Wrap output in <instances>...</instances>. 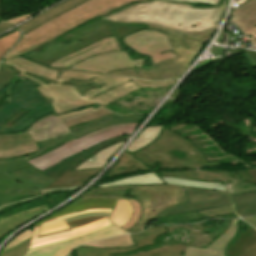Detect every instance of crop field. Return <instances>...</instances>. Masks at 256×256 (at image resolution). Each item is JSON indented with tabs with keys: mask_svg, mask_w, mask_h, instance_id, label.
<instances>
[{
	"mask_svg": "<svg viewBox=\"0 0 256 256\" xmlns=\"http://www.w3.org/2000/svg\"><path fill=\"white\" fill-rule=\"evenodd\" d=\"M101 169L78 170L66 173L64 176L54 181L46 188L80 186L93 178ZM44 188V189H46Z\"/></svg>",
	"mask_w": 256,
	"mask_h": 256,
	"instance_id": "crop-field-23",
	"label": "crop field"
},
{
	"mask_svg": "<svg viewBox=\"0 0 256 256\" xmlns=\"http://www.w3.org/2000/svg\"><path fill=\"white\" fill-rule=\"evenodd\" d=\"M111 210L112 209H91V210L80 211V212H77V213L68 214L66 216L58 217V218H55L53 220L47 221V222L43 223L41 226H44V225H47V224H50V223L62 220L64 218H66V217H70V216H74V215H78V214H82V213H87V212H111Z\"/></svg>",
	"mask_w": 256,
	"mask_h": 256,
	"instance_id": "crop-field-43",
	"label": "crop field"
},
{
	"mask_svg": "<svg viewBox=\"0 0 256 256\" xmlns=\"http://www.w3.org/2000/svg\"><path fill=\"white\" fill-rule=\"evenodd\" d=\"M68 228L69 227L67 226V224L64 222V220H62V221L41 227L38 235L52 233V232H56V231H60Z\"/></svg>",
	"mask_w": 256,
	"mask_h": 256,
	"instance_id": "crop-field-40",
	"label": "crop field"
},
{
	"mask_svg": "<svg viewBox=\"0 0 256 256\" xmlns=\"http://www.w3.org/2000/svg\"><path fill=\"white\" fill-rule=\"evenodd\" d=\"M103 109L102 107L97 108L93 111H97ZM93 111L65 117L58 119L55 114L47 115L41 119H39L36 123H34L27 131L31 135V137L34 139V141H41L50 139L56 136L64 135L66 133H69V129L65 126L62 120L84 115ZM65 121V120H64Z\"/></svg>",
	"mask_w": 256,
	"mask_h": 256,
	"instance_id": "crop-field-16",
	"label": "crop field"
},
{
	"mask_svg": "<svg viewBox=\"0 0 256 256\" xmlns=\"http://www.w3.org/2000/svg\"><path fill=\"white\" fill-rule=\"evenodd\" d=\"M92 109H93V107H90V108H87V109H84V110H81V111H75V112H71V113L58 115L57 117L60 118V117H64V116H68V115H72V114H76V113H80V112H84V111H88V110H92Z\"/></svg>",
	"mask_w": 256,
	"mask_h": 256,
	"instance_id": "crop-field-54",
	"label": "crop field"
},
{
	"mask_svg": "<svg viewBox=\"0 0 256 256\" xmlns=\"http://www.w3.org/2000/svg\"><path fill=\"white\" fill-rule=\"evenodd\" d=\"M125 51L115 36L100 40L86 48L78 50L62 59L53 62L49 67L51 68H70L77 62L91 57L96 54L111 52V51Z\"/></svg>",
	"mask_w": 256,
	"mask_h": 256,
	"instance_id": "crop-field-13",
	"label": "crop field"
},
{
	"mask_svg": "<svg viewBox=\"0 0 256 256\" xmlns=\"http://www.w3.org/2000/svg\"><path fill=\"white\" fill-rule=\"evenodd\" d=\"M38 151L27 131L0 135V159L22 156Z\"/></svg>",
	"mask_w": 256,
	"mask_h": 256,
	"instance_id": "crop-field-15",
	"label": "crop field"
},
{
	"mask_svg": "<svg viewBox=\"0 0 256 256\" xmlns=\"http://www.w3.org/2000/svg\"><path fill=\"white\" fill-rule=\"evenodd\" d=\"M14 25H11V24H4V23H0V33L5 31L6 29L12 27Z\"/></svg>",
	"mask_w": 256,
	"mask_h": 256,
	"instance_id": "crop-field-55",
	"label": "crop field"
},
{
	"mask_svg": "<svg viewBox=\"0 0 256 256\" xmlns=\"http://www.w3.org/2000/svg\"><path fill=\"white\" fill-rule=\"evenodd\" d=\"M86 198H134L138 200L142 204V217L132 229L127 231L129 233H136L144 230L149 219L155 217L168 207L188 202L184 188L175 185H143L95 188L81 194L77 199H75V201Z\"/></svg>",
	"mask_w": 256,
	"mask_h": 256,
	"instance_id": "crop-field-6",
	"label": "crop field"
},
{
	"mask_svg": "<svg viewBox=\"0 0 256 256\" xmlns=\"http://www.w3.org/2000/svg\"><path fill=\"white\" fill-rule=\"evenodd\" d=\"M124 232L112 224L104 229L68 241L28 249L23 256H65L79 244L125 234Z\"/></svg>",
	"mask_w": 256,
	"mask_h": 256,
	"instance_id": "crop-field-12",
	"label": "crop field"
},
{
	"mask_svg": "<svg viewBox=\"0 0 256 256\" xmlns=\"http://www.w3.org/2000/svg\"><path fill=\"white\" fill-rule=\"evenodd\" d=\"M229 221H208L189 225L187 245L206 248L216 240L231 224Z\"/></svg>",
	"mask_w": 256,
	"mask_h": 256,
	"instance_id": "crop-field-14",
	"label": "crop field"
},
{
	"mask_svg": "<svg viewBox=\"0 0 256 256\" xmlns=\"http://www.w3.org/2000/svg\"><path fill=\"white\" fill-rule=\"evenodd\" d=\"M83 1H85V0H66V1L60 3L59 5L53 7L52 9L44 12L43 14L37 16L33 20L19 26V29H21L22 32L25 33L28 30L44 23L46 20L54 17L55 15L65 11L75 5L82 3Z\"/></svg>",
	"mask_w": 256,
	"mask_h": 256,
	"instance_id": "crop-field-26",
	"label": "crop field"
},
{
	"mask_svg": "<svg viewBox=\"0 0 256 256\" xmlns=\"http://www.w3.org/2000/svg\"><path fill=\"white\" fill-rule=\"evenodd\" d=\"M123 41L135 51L150 55L152 64L177 57L164 33L142 30L124 37ZM143 63L144 59L131 61L126 52L117 51L93 56L77 63L72 69L108 73L125 68H139Z\"/></svg>",
	"mask_w": 256,
	"mask_h": 256,
	"instance_id": "crop-field-5",
	"label": "crop field"
},
{
	"mask_svg": "<svg viewBox=\"0 0 256 256\" xmlns=\"http://www.w3.org/2000/svg\"><path fill=\"white\" fill-rule=\"evenodd\" d=\"M245 35H252L253 37L249 38L251 42L255 45L256 47V26L252 27L248 31L244 32Z\"/></svg>",
	"mask_w": 256,
	"mask_h": 256,
	"instance_id": "crop-field-49",
	"label": "crop field"
},
{
	"mask_svg": "<svg viewBox=\"0 0 256 256\" xmlns=\"http://www.w3.org/2000/svg\"><path fill=\"white\" fill-rule=\"evenodd\" d=\"M29 239L23 241L22 243L0 253V256H22V254L25 252V250L28 247Z\"/></svg>",
	"mask_w": 256,
	"mask_h": 256,
	"instance_id": "crop-field-38",
	"label": "crop field"
},
{
	"mask_svg": "<svg viewBox=\"0 0 256 256\" xmlns=\"http://www.w3.org/2000/svg\"><path fill=\"white\" fill-rule=\"evenodd\" d=\"M184 188L189 203L170 207L155 218L191 211H197L210 217L235 214L227 193Z\"/></svg>",
	"mask_w": 256,
	"mask_h": 256,
	"instance_id": "crop-field-11",
	"label": "crop field"
},
{
	"mask_svg": "<svg viewBox=\"0 0 256 256\" xmlns=\"http://www.w3.org/2000/svg\"><path fill=\"white\" fill-rule=\"evenodd\" d=\"M101 215H109V213H87V214H82V215L74 216L71 218H67L64 220H65V222H68V221L80 219V218L87 217V216H101Z\"/></svg>",
	"mask_w": 256,
	"mask_h": 256,
	"instance_id": "crop-field-48",
	"label": "crop field"
},
{
	"mask_svg": "<svg viewBox=\"0 0 256 256\" xmlns=\"http://www.w3.org/2000/svg\"><path fill=\"white\" fill-rule=\"evenodd\" d=\"M237 221L233 220L231 226L208 248L186 247L184 256H225L224 248L237 232Z\"/></svg>",
	"mask_w": 256,
	"mask_h": 256,
	"instance_id": "crop-field-18",
	"label": "crop field"
},
{
	"mask_svg": "<svg viewBox=\"0 0 256 256\" xmlns=\"http://www.w3.org/2000/svg\"><path fill=\"white\" fill-rule=\"evenodd\" d=\"M69 230H70V229H69ZM69 230H65V231H69ZM65 231H61V232H65ZM61 232H57V233H61ZM53 234H56V233H53ZM48 235H52V234L41 235V236H38V238H40V237H44V236H48Z\"/></svg>",
	"mask_w": 256,
	"mask_h": 256,
	"instance_id": "crop-field-57",
	"label": "crop field"
},
{
	"mask_svg": "<svg viewBox=\"0 0 256 256\" xmlns=\"http://www.w3.org/2000/svg\"><path fill=\"white\" fill-rule=\"evenodd\" d=\"M1 65L38 84V91L56 115L87 105L106 106L139 87L129 78L64 69H50L20 56L3 60Z\"/></svg>",
	"mask_w": 256,
	"mask_h": 256,
	"instance_id": "crop-field-2",
	"label": "crop field"
},
{
	"mask_svg": "<svg viewBox=\"0 0 256 256\" xmlns=\"http://www.w3.org/2000/svg\"><path fill=\"white\" fill-rule=\"evenodd\" d=\"M108 222H110V221L107 219V220H105L103 222H100L98 224H95V225H92V226H89V227H86V228H83V229H79V230H75V231H69V232H65V233H61V234H57V235H53V236H49V237H44V238H40V239H37V233H38L39 227H35L34 231H33V234H32L31 244H35V243H39V242H43V241H47V240L63 237V236L74 234V233H78V232L88 231V230H91L93 228H96V227H99L101 225H104V224H106Z\"/></svg>",
	"mask_w": 256,
	"mask_h": 256,
	"instance_id": "crop-field-35",
	"label": "crop field"
},
{
	"mask_svg": "<svg viewBox=\"0 0 256 256\" xmlns=\"http://www.w3.org/2000/svg\"><path fill=\"white\" fill-rule=\"evenodd\" d=\"M162 127L158 126H148L146 127L138 136L137 138L131 142L130 146L128 147V151L131 153L146 144L152 142L154 138L159 134Z\"/></svg>",
	"mask_w": 256,
	"mask_h": 256,
	"instance_id": "crop-field-29",
	"label": "crop field"
},
{
	"mask_svg": "<svg viewBox=\"0 0 256 256\" xmlns=\"http://www.w3.org/2000/svg\"><path fill=\"white\" fill-rule=\"evenodd\" d=\"M142 184H167L165 181H163L157 174H155L153 171H150L148 173L136 175L133 177L100 184L96 187H110V186H117V185H142Z\"/></svg>",
	"mask_w": 256,
	"mask_h": 256,
	"instance_id": "crop-field-27",
	"label": "crop field"
},
{
	"mask_svg": "<svg viewBox=\"0 0 256 256\" xmlns=\"http://www.w3.org/2000/svg\"><path fill=\"white\" fill-rule=\"evenodd\" d=\"M148 169L147 166L132 156L128 151H125L103 179Z\"/></svg>",
	"mask_w": 256,
	"mask_h": 256,
	"instance_id": "crop-field-22",
	"label": "crop field"
},
{
	"mask_svg": "<svg viewBox=\"0 0 256 256\" xmlns=\"http://www.w3.org/2000/svg\"><path fill=\"white\" fill-rule=\"evenodd\" d=\"M107 218H108V217L103 218V219L98 220V221H95V222H92V223L87 224V225H84V226H80V227L72 228L71 230H75V229L83 228V227H86V226H89V225L95 224V223H97V222L103 221V220H105V219H107Z\"/></svg>",
	"mask_w": 256,
	"mask_h": 256,
	"instance_id": "crop-field-56",
	"label": "crop field"
},
{
	"mask_svg": "<svg viewBox=\"0 0 256 256\" xmlns=\"http://www.w3.org/2000/svg\"><path fill=\"white\" fill-rule=\"evenodd\" d=\"M199 218H206V216H203L197 212L167 216V217L157 219V221L153 222V224L150 225L149 227L153 225L166 224V223H173V224L189 223L190 220L199 219Z\"/></svg>",
	"mask_w": 256,
	"mask_h": 256,
	"instance_id": "crop-field-33",
	"label": "crop field"
},
{
	"mask_svg": "<svg viewBox=\"0 0 256 256\" xmlns=\"http://www.w3.org/2000/svg\"><path fill=\"white\" fill-rule=\"evenodd\" d=\"M144 115H109L95 121L70 128V134L37 142L38 152L22 157L0 160V204L41 194L40 189L54 181L25 160L40 155L68 140L119 123L140 122ZM20 190V192H17Z\"/></svg>",
	"mask_w": 256,
	"mask_h": 256,
	"instance_id": "crop-field-3",
	"label": "crop field"
},
{
	"mask_svg": "<svg viewBox=\"0 0 256 256\" xmlns=\"http://www.w3.org/2000/svg\"><path fill=\"white\" fill-rule=\"evenodd\" d=\"M77 188H67V189H56V190H65V191H69V190H75ZM51 191H54V190H45V191H41L42 195L44 194H47ZM42 195H39V196H36V197H32V198H28V199H24V200H20V201H16V202H12V203H8V204H4V205H0V210L2 209H5L11 205H15V204H18V203H21V202H24V201H28V200H31V199H34V198H39L41 197Z\"/></svg>",
	"mask_w": 256,
	"mask_h": 256,
	"instance_id": "crop-field-45",
	"label": "crop field"
},
{
	"mask_svg": "<svg viewBox=\"0 0 256 256\" xmlns=\"http://www.w3.org/2000/svg\"><path fill=\"white\" fill-rule=\"evenodd\" d=\"M0 89L9 92V104L0 107V134L26 130L44 115L53 113L51 106L35 88L36 84L0 66Z\"/></svg>",
	"mask_w": 256,
	"mask_h": 256,
	"instance_id": "crop-field-4",
	"label": "crop field"
},
{
	"mask_svg": "<svg viewBox=\"0 0 256 256\" xmlns=\"http://www.w3.org/2000/svg\"><path fill=\"white\" fill-rule=\"evenodd\" d=\"M129 136L130 135L120 137V138H116V139H112V140H108L106 142H103V143L95 146V147H92L88 150L80 152V153L64 160L63 162L55 165L54 167L50 168L49 170L45 171L44 173L57 180L59 177H61L63 174H65L66 172L71 170L73 167H75L76 165L81 163L83 160H85L91 154L95 153L97 150H99L101 148H104V147H107V146H109V145H111V144H113L117 141L128 139Z\"/></svg>",
	"mask_w": 256,
	"mask_h": 256,
	"instance_id": "crop-field-17",
	"label": "crop field"
},
{
	"mask_svg": "<svg viewBox=\"0 0 256 256\" xmlns=\"http://www.w3.org/2000/svg\"><path fill=\"white\" fill-rule=\"evenodd\" d=\"M133 245L134 243L130 235H124V236H116L111 239L83 244L81 246H91V247H97V248H116V247H128Z\"/></svg>",
	"mask_w": 256,
	"mask_h": 256,
	"instance_id": "crop-field-31",
	"label": "crop field"
},
{
	"mask_svg": "<svg viewBox=\"0 0 256 256\" xmlns=\"http://www.w3.org/2000/svg\"><path fill=\"white\" fill-rule=\"evenodd\" d=\"M111 224L108 223L102 227H99V228H96V229H93L91 231H88V232H83V233H78V234H74V235H70V236H66V237H63V238H59V239H55V240H51V241H47V242H43V243H39V244H35V245H31L29 248H32V247H38V246H42V245H47V244H51V243H55V242H59V241H63V240H67V239H71V238H74V237H77V236H81V235H84V234H87V233H90L92 231H95V230H98V229H101L107 225Z\"/></svg>",
	"mask_w": 256,
	"mask_h": 256,
	"instance_id": "crop-field-42",
	"label": "crop field"
},
{
	"mask_svg": "<svg viewBox=\"0 0 256 256\" xmlns=\"http://www.w3.org/2000/svg\"><path fill=\"white\" fill-rule=\"evenodd\" d=\"M108 114H112V112H110L106 109H103V110L93 112V113H90V114H87V115H84V116H80V117L65 120L64 123L66 124V126L68 128H70V127H73V126H76V125H79V124H82V123H85V122L95 120V119L103 117V116H106Z\"/></svg>",
	"mask_w": 256,
	"mask_h": 256,
	"instance_id": "crop-field-34",
	"label": "crop field"
},
{
	"mask_svg": "<svg viewBox=\"0 0 256 256\" xmlns=\"http://www.w3.org/2000/svg\"><path fill=\"white\" fill-rule=\"evenodd\" d=\"M242 219L245 220L246 222L250 223L251 225H253L256 228V216L245 217V218H242Z\"/></svg>",
	"mask_w": 256,
	"mask_h": 256,
	"instance_id": "crop-field-53",
	"label": "crop field"
},
{
	"mask_svg": "<svg viewBox=\"0 0 256 256\" xmlns=\"http://www.w3.org/2000/svg\"><path fill=\"white\" fill-rule=\"evenodd\" d=\"M138 123L120 124L71 140L45 154L27 160L42 172L60 161L111 138L131 134ZM72 148V151H69Z\"/></svg>",
	"mask_w": 256,
	"mask_h": 256,
	"instance_id": "crop-field-9",
	"label": "crop field"
},
{
	"mask_svg": "<svg viewBox=\"0 0 256 256\" xmlns=\"http://www.w3.org/2000/svg\"><path fill=\"white\" fill-rule=\"evenodd\" d=\"M149 29L138 25L109 23L98 20L90 23L58 40H53L21 56L48 66L53 61L64 57L100 39L115 35L117 40L133 32Z\"/></svg>",
	"mask_w": 256,
	"mask_h": 256,
	"instance_id": "crop-field-7",
	"label": "crop field"
},
{
	"mask_svg": "<svg viewBox=\"0 0 256 256\" xmlns=\"http://www.w3.org/2000/svg\"><path fill=\"white\" fill-rule=\"evenodd\" d=\"M219 59H221V58H218V59H213V60H203V61H200V63L198 64V66L193 70V71H195V70H197V69H199V68H201V67H203V66H205V65H207V64H209V63H211V62H213V61H215V60H219Z\"/></svg>",
	"mask_w": 256,
	"mask_h": 256,
	"instance_id": "crop-field-52",
	"label": "crop field"
},
{
	"mask_svg": "<svg viewBox=\"0 0 256 256\" xmlns=\"http://www.w3.org/2000/svg\"><path fill=\"white\" fill-rule=\"evenodd\" d=\"M228 51L231 52L230 56L244 52L250 67L251 68H256V52H254V51H242V50H229V49H228Z\"/></svg>",
	"mask_w": 256,
	"mask_h": 256,
	"instance_id": "crop-field-41",
	"label": "crop field"
},
{
	"mask_svg": "<svg viewBox=\"0 0 256 256\" xmlns=\"http://www.w3.org/2000/svg\"><path fill=\"white\" fill-rule=\"evenodd\" d=\"M234 217H235L234 215L226 216V218H234Z\"/></svg>",
	"mask_w": 256,
	"mask_h": 256,
	"instance_id": "crop-field-58",
	"label": "crop field"
},
{
	"mask_svg": "<svg viewBox=\"0 0 256 256\" xmlns=\"http://www.w3.org/2000/svg\"><path fill=\"white\" fill-rule=\"evenodd\" d=\"M134 83H136L140 88L150 87V89L164 87L173 85L176 80L174 81H165V82H149L141 79H134L130 78Z\"/></svg>",
	"mask_w": 256,
	"mask_h": 256,
	"instance_id": "crop-field-39",
	"label": "crop field"
},
{
	"mask_svg": "<svg viewBox=\"0 0 256 256\" xmlns=\"http://www.w3.org/2000/svg\"><path fill=\"white\" fill-rule=\"evenodd\" d=\"M181 226L188 229V225H175V226H160L146 230L142 233L131 235L136 246L128 248H117V249H96L91 247H76L78 256H113L111 254L127 253L136 250L145 245L155 243L153 240L160 234L165 232L170 233L171 231L178 230L177 227ZM184 245H173L163 248L153 249L149 251L139 252L137 254L121 255V256H182L185 251Z\"/></svg>",
	"mask_w": 256,
	"mask_h": 256,
	"instance_id": "crop-field-10",
	"label": "crop field"
},
{
	"mask_svg": "<svg viewBox=\"0 0 256 256\" xmlns=\"http://www.w3.org/2000/svg\"><path fill=\"white\" fill-rule=\"evenodd\" d=\"M248 2L251 1V0H247Z\"/></svg>",
	"mask_w": 256,
	"mask_h": 256,
	"instance_id": "crop-field-60",
	"label": "crop field"
},
{
	"mask_svg": "<svg viewBox=\"0 0 256 256\" xmlns=\"http://www.w3.org/2000/svg\"><path fill=\"white\" fill-rule=\"evenodd\" d=\"M35 13H37V12H35ZM35 13H31V14H28V15H25V16H21V17L15 18V19H11V20H8V21H2V22L18 23V22L28 18L29 16L35 14Z\"/></svg>",
	"mask_w": 256,
	"mask_h": 256,
	"instance_id": "crop-field-51",
	"label": "crop field"
},
{
	"mask_svg": "<svg viewBox=\"0 0 256 256\" xmlns=\"http://www.w3.org/2000/svg\"><path fill=\"white\" fill-rule=\"evenodd\" d=\"M162 179H164L168 184H175V185H181V186H187V187H195V188L227 192L223 183L216 184V183H205V182H190V181L170 179V178H162Z\"/></svg>",
	"mask_w": 256,
	"mask_h": 256,
	"instance_id": "crop-field-32",
	"label": "crop field"
},
{
	"mask_svg": "<svg viewBox=\"0 0 256 256\" xmlns=\"http://www.w3.org/2000/svg\"><path fill=\"white\" fill-rule=\"evenodd\" d=\"M115 204H116V200H113V199H87V200L71 203L70 205L64 207L58 212L52 214L51 216L47 218L45 217L46 219L35 224V226H40V224L46 220H50L58 216L66 215L68 213H72V212H76L84 209H91V208H113Z\"/></svg>",
	"mask_w": 256,
	"mask_h": 256,
	"instance_id": "crop-field-20",
	"label": "crop field"
},
{
	"mask_svg": "<svg viewBox=\"0 0 256 256\" xmlns=\"http://www.w3.org/2000/svg\"><path fill=\"white\" fill-rule=\"evenodd\" d=\"M132 215L131 204L127 200H117V205L109 220L117 226H122L128 222Z\"/></svg>",
	"mask_w": 256,
	"mask_h": 256,
	"instance_id": "crop-field-30",
	"label": "crop field"
},
{
	"mask_svg": "<svg viewBox=\"0 0 256 256\" xmlns=\"http://www.w3.org/2000/svg\"><path fill=\"white\" fill-rule=\"evenodd\" d=\"M226 3L227 0L221 7L194 8V5L152 0L131 5L103 18L110 22L144 23L153 30L166 33L178 56L148 68L126 69L110 74L148 80L179 78L207 38L214 33L222 19Z\"/></svg>",
	"mask_w": 256,
	"mask_h": 256,
	"instance_id": "crop-field-1",
	"label": "crop field"
},
{
	"mask_svg": "<svg viewBox=\"0 0 256 256\" xmlns=\"http://www.w3.org/2000/svg\"><path fill=\"white\" fill-rule=\"evenodd\" d=\"M235 211L241 216L256 214V192L231 196Z\"/></svg>",
	"mask_w": 256,
	"mask_h": 256,
	"instance_id": "crop-field-28",
	"label": "crop field"
},
{
	"mask_svg": "<svg viewBox=\"0 0 256 256\" xmlns=\"http://www.w3.org/2000/svg\"><path fill=\"white\" fill-rule=\"evenodd\" d=\"M4 96V94H0V99Z\"/></svg>",
	"mask_w": 256,
	"mask_h": 256,
	"instance_id": "crop-field-59",
	"label": "crop field"
},
{
	"mask_svg": "<svg viewBox=\"0 0 256 256\" xmlns=\"http://www.w3.org/2000/svg\"><path fill=\"white\" fill-rule=\"evenodd\" d=\"M30 236H31V231H30V230H27V231H25V232H23V233L17 235L9 244H7V245L4 247V249H3L2 251H4V250H6V249H8V248H10V247H12V246H14V245H16L17 243H19V242L25 240L26 238H28V237H30Z\"/></svg>",
	"mask_w": 256,
	"mask_h": 256,
	"instance_id": "crop-field-44",
	"label": "crop field"
},
{
	"mask_svg": "<svg viewBox=\"0 0 256 256\" xmlns=\"http://www.w3.org/2000/svg\"><path fill=\"white\" fill-rule=\"evenodd\" d=\"M230 21L235 22L243 32L256 25V0L232 11Z\"/></svg>",
	"mask_w": 256,
	"mask_h": 256,
	"instance_id": "crop-field-25",
	"label": "crop field"
},
{
	"mask_svg": "<svg viewBox=\"0 0 256 256\" xmlns=\"http://www.w3.org/2000/svg\"><path fill=\"white\" fill-rule=\"evenodd\" d=\"M20 30L14 33H10L2 38H0V60L6 52L18 41L20 37Z\"/></svg>",
	"mask_w": 256,
	"mask_h": 256,
	"instance_id": "crop-field-36",
	"label": "crop field"
},
{
	"mask_svg": "<svg viewBox=\"0 0 256 256\" xmlns=\"http://www.w3.org/2000/svg\"><path fill=\"white\" fill-rule=\"evenodd\" d=\"M170 1H178V2H201V3H210L214 5L221 6L224 0H170Z\"/></svg>",
	"mask_w": 256,
	"mask_h": 256,
	"instance_id": "crop-field-47",
	"label": "crop field"
},
{
	"mask_svg": "<svg viewBox=\"0 0 256 256\" xmlns=\"http://www.w3.org/2000/svg\"><path fill=\"white\" fill-rule=\"evenodd\" d=\"M125 141L118 142L107 148L99 150L72 170L103 168L106 162L114 155L119 147L125 143Z\"/></svg>",
	"mask_w": 256,
	"mask_h": 256,
	"instance_id": "crop-field-24",
	"label": "crop field"
},
{
	"mask_svg": "<svg viewBox=\"0 0 256 256\" xmlns=\"http://www.w3.org/2000/svg\"><path fill=\"white\" fill-rule=\"evenodd\" d=\"M247 173L251 175L253 178L247 179L245 181L256 184V169H246Z\"/></svg>",
	"mask_w": 256,
	"mask_h": 256,
	"instance_id": "crop-field-50",
	"label": "crop field"
},
{
	"mask_svg": "<svg viewBox=\"0 0 256 256\" xmlns=\"http://www.w3.org/2000/svg\"><path fill=\"white\" fill-rule=\"evenodd\" d=\"M135 1H136V2H140V1H147V0H134V1H132V2H135ZM132 2L126 3V4H124V5L130 4V3H132ZM124 5H121V6H124ZM119 7H120V6H119ZM117 8H118V7H117ZM114 9H116V8H114ZM114 9H112V10H114ZM112 10H109V11H107V12L101 13V14H99V15H97V16L104 15V14H106V13L112 11ZM97 16H94V17H92V18H90V19H93V18H95V17H97ZM90 19H88V20H90ZM86 21H87V20H86ZM86 21H84V22H86ZM84 22H82V23H84ZM82 23H80V24H82ZM80 24H78V25H80ZM78 25H77V26H78ZM75 27H76V26H75ZM73 28H74V27H73ZM71 29H72V28H71ZM69 30H70V29H69ZM67 31H68V30H67ZM65 32H66V31H65ZM65 32H63V33H65ZM63 33H61V34H59V35H62ZM59 35H57V36H59ZM57 36H55V37H53V38H51V39H48V40H46V41H44V42H42V43H40V44H38V45H35V46H33V47H30V48H28V49H26V50H24V51H22V52H20V53H17V54H14V55H10L11 52L18 46V44H19V43L21 42V40L23 39V36H22V38H21L20 41L17 43V45H16L7 55H5L4 59H5V58H9V57H13V56H16V55H21V54H23V53H25V52H27V51H29V50H31V49L37 47V46L43 45V44H45V43H47V42H49V41L55 39Z\"/></svg>",
	"mask_w": 256,
	"mask_h": 256,
	"instance_id": "crop-field-37",
	"label": "crop field"
},
{
	"mask_svg": "<svg viewBox=\"0 0 256 256\" xmlns=\"http://www.w3.org/2000/svg\"><path fill=\"white\" fill-rule=\"evenodd\" d=\"M103 217H106V216H102V217H88V218H84V219L68 222L67 224L69 225L70 228H72V227H76V226H80V225H84V224L90 223L92 221L101 219Z\"/></svg>",
	"mask_w": 256,
	"mask_h": 256,
	"instance_id": "crop-field-46",
	"label": "crop field"
},
{
	"mask_svg": "<svg viewBox=\"0 0 256 256\" xmlns=\"http://www.w3.org/2000/svg\"><path fill=\"white\" fill-rule=\"evenodd\" d=\"M46 205L35 207L24 212L18 213L16 215H12L8 218L0 219V238L8 233L9 231L15 229L16 227L24 224L25 222L39 216L44 211L49 210Z\"/></svg>",
	"mask_w": 256,
	"mask_h": 256,
	"instance_id": "crop-field-21",
	"label": "crop field"
},
{
	"mask_svg": "<svg viewBox=\"0 0 256 256\" xmlns=\"http://www.w3.org/2000/svg\"><path fill=\"white\" fill-rule=\"evenodd\" d=\"M228 256H256V230L248 226L227 249Z\"/></svg>",
	"mask_w": 256,
	"mask_h": 256,
	"instance_id": "crop-field-19",
	"label": "crop field"
},
{
	"mask_svg": "<svg viewBox=\"0 0 256 256\" xmlns=\"http://www.w3.org/2000/svg\"><path fill=\"white\" fill-rule=\"evenodd\" d=\"M129 1L131 0H87L74 9L58 15L24 34L25 38L12 54L44 41L96 14Z\"/></svg>",
	"mask_w": 256,
	"mask_h": 256,
	"instance_id": "crop-field-8",
	"label": "crop field"
}]
</instances>
